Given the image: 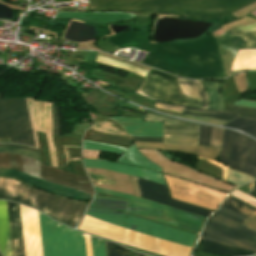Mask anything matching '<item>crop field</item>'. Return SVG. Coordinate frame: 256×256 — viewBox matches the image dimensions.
<instances>
[{
    "label": "crop field",
    "instance_id": "crop-field-1",
    "mask_svg": "<svg viewBox=\"0 0 256 256\" xmlns=\"http://www.w3.org/2000/svg\"><path fill=\"white\" fill-rule=\"evenodd\" d=\"M149 31L127 32L106 38L118 49L134 47L149 52L142 64L168 73L191 78H224V69L216 39L210 35L200 41L152 45L148 43Z\"/></svg>",
    "mask_w": 256,
    "mask_h": 256
},
{
    "label": "crop field",
    "instance_id": "crop-field-2",
    "mask_svg": "<svg viewBox=\"0 0 256 256\" xmlns=\"http://www.w3.org/2000/svg\"><path fill=\"white\" fill-rule=\"evenodd\" d=\"M256 0H90L89 10L122 9L157 14L217 19Z\"/></svg>",
    "mask_w": 256,
    "mask_h": 256
},
{
    "label": "crop field",
    "instance_id": "crop-field-3",
    "mask_svg": "<svg viewBox=\"0 0 256 256\" xmlns=\"http://www.w3.org/2000/svg\"><path fill=\"white\" fill-rule=\"evenodd\" d=\"M255 215L256 209L228 196L207 220L200 239L256 252V232L241 224Z\"/></svg>",
    "mask_w": 256,
    "mask_h": 256
},
{
    "label": "crop field",
    "instance_id": "crop-field-4",
    "mask_svg": "<svg viewBox=\"0 0 256 256\" xmlns=\"http://www.w3.org/2000/svg\"><path fill=\"white\" fill-rule=\"evenodd\" d=\"M95 191L129 199H110L94 197L90 207L110 210H119L133 215L141 216L151 220L159 221L176 228L187 230L193 233H199L205 217L171 208L165 205L153 203L140 199L135 196L95 187Z\"/></svg>",
    "mask_w": 256,
    "mask_h": 256
},
{
    "label": "crop field",
    "instance_id": "crop-field-5",
    "mask_svg": "<svg viewBox=\"0 0 256 256\" xmlns=\"http://www.w3.org/2000/svg\"><path fill=\"white\" fill-rule=\"evenodd\" d=\"M137 94H140L142 96H145L147 98H151L160 102L178 103V104H183V105L196 107V108H200V103H201V99L182 97L183 92L179 88L177 79L175 77L165 73L154 71V70L148 75V77L146 78L142 86L137 91ZM154 107L173 111V112H178V113H181L183 111H191V112L216 114V115H208V114L189 113V112L182 113L183 116L210 118V119H218V120H225V121H230L240 116L238 114L229 113V112L196 109V108L175 106V105L159 103V102H155ZM154 107H152V109L157 110L159 112L170 114V115L175 114L167 111L158 110Z\"/></svg>",
    "mask_w": 256,
    "mask_h": 256
},
{
    "label": "crop field",
    "instance_id": "crop-field-6",
    "mask_svg": "<svg viewBox=\"0 0 256 256\" xmlns=\"http://www.w3.org/2000/svg\"><path fill=\"white\" fill-rule=\"evenodd\" d=\"M0 198L12 199L17 202L40 209L50 217L76 226L87 206L76 201L50 195L17 180L0 177Z\"/></svg>",
    "mask_w": 256,
    "mask_h": 256
},
{
    "label": "crop field",
    "instance_id": "crop-field-7",
    "mask_svg": "<svg viewBox=\"0 0 256 256\" xmlns=\"http://www.w3.org/2000/svg\"><path fill=\"white\" fill-rule=\"evenodd\" d=\"M239 28L256 31V23ZM239 28L228 31L217 37L226 70V77L239 72L236 70L256 69V49H239V47L256 48V32H250ZM236 56L237 60L235 63ZM232 70L236 72H232Z\"/></svg>",
    "mask_w": 256,
    "mask_h": 256
},
{
    "label": "crop field",
    "instance_id": "crop-field-8",
    "mask_svg": "<svg viewBox=\"0 0 256 256\" xmlns=\"http://www.w3.org/2000/svg\"><path fill=\"white\" fill-rule=\"evenodd\" d=\"M43 256H85L83 233L38 212Z\"/></svg>",
    "mask_w": 256,
    "mask_h": 256
},
{
    "label": "crop field",
    "instance_id": "crop-field-9",
    "mask_svg": "<svg viewBox=\"0 0 256 256\" xmlns=\"http://www.w3.org/2000/svg\"><path fill=\"white\" fill-rule=\"evenodd\" d=\"M85 217H89L92 219L142 232L191 247L193 246L197 238L196 235L159 225L153 222H149L143 219H139L133 216H129L124 213L88 208Z\"/></svg>",
    "mask_w": 256,
    "mask_h": 256
},
{
    "label": "crop field",
    "instance_id": "crop-field-10",
    "mask_svg": "<svg viewBox=\"0 0 256 256\" xmlns=\"http://www.w3.org/2000/svg\"><path fill=\"white\" fill-rule=\"evenodd\" d=\"M0 138L36 147L25 98H9L1 102L0 93Z\"/></svg>",
    "mask_w": 256,
    "mask_h": 256
},
{
    "label": "crop field",
    "instance_id": "crop-field-11",
    "mask_svg": "<svg viewBox=\"0 0 256 256\" xmlns=\"http://www.w3.org/2000/svg\"><path fill=\"white\" fill-rule=\"evenodd\" d=\"M0 168L16 169L83 192L94 194L89 180L56 170L27 157L0 153Z\"/></svg>",
    "mask_w": 256,
    "mask_h": 256
},
{
    "label": "crop field",
    "instance_id": "crop-field-12",
    "mask_svg": "<svg viewBox=\"0 0 256 256\" xmlns=\"http://www.w3.org/2000/svg\"><path fill=\"white\" fill-rule=\"evenodd\" d=\"M199 125L163 126L164 144L136 142L137 148H155L177 151L216 160L220 149L198 146Z\"/></svg>",
    "mask_w": 256,
    "mask_h": 256
},
{
    "label": "crop field",
    "instance_id": "crop-field-13",
    "mask_svg": "<svg viewBox=\"0 0 256 256\" xmlns=\"http://www.w3.org/2000/svg\"><path fill=\"white\" fill-rule=\"evenodd\" d=\"M251 139L225 129L219 161L256 177V142Z\"/></svg>",
    "mask_w": 256,
    "mask_h": 256
},
{
    "label": "crop field",
    "instance_id": "crop-field-14",
    "mask_svg": "<svg viewBox=\"0 0 256 256\" xmlns=\"http://www.w3.org/2000/svg\"><path fill=\"white\" fill-rule=\"evenodd\" d=\"M164 176V175H163ZM173 199L215 210L227 195L180 179L164 176Z\"/></svg>",
    "mask_w": 256,
    "mask_h": 256
},
{
    "label": "crop field",
    "instance_id": "crop-field-15",
    "mask_svg": "<svg viewBox=\"0 0 256 256\" xmlns=\"http://www.w3.org/2000/svg\"><path fill=\"white\" fill-rule=\"evenodd\" d=\"M129 176V175H128ZM133 194L135 196L148 199L157 203L165 204L171 207H175L181 210H185L191 213H195L201 216L207 217L212 211H208L202 208L191 206L185 203H181L175 200H171L168 197L166 187L157 183L142 180L136 177L129 176Z\"/></svg>",
    "mask_w": 256,
    "mask_h": 256
},
{
    "label": "crop field",
    "instance_id": "crop-field-16",
    "mask_svg": "<svg viewBox=\"0 0 256 256\" xmlns=\"http://www.w3.org/2000/svg\"><path fill=\"white\" fill-rule=\"evenodd\" d=\"M0 174H8L15 177H18L29 184L44 189L46 191L59 194L62 196H66L73 199H79V200H88L92 198V195L86 194L80 191H76L70 188H66L33 176H30L28 174H25L21 171H15V170H8V169H0Z\"/></svg>",
    "mask_w": 256,
    "mask_h": 256
},
{
    "label": "crop field",
    "instance_id": "crop-field-17",
    "mask_svg": "<svg viewBox=\"0 0 256 256\" xmlns=\"http://www.w3.org/2000/svg\"><path fill=\"white\" fill-rule=\"evenodd\" d=\"M83 162L85 167L104 168L112 171L129 174L132 176H136V177L157 182L160 184H164L161 175L159 173H155L152 171L138 169V168H134L126 165H121V164L109 162L106 160L83 159Z\"/></svg>",
    "mask_w": 256,
    "mask_h": 256
},
{
    "label": "crop field",
    "instance_id": "crop-field-18",
    "mask_svg": "<svg viewBox=\"0 0 256 256\" xmlns=\"http://www.w3.org/2000/svg\"><path fill=\"white\" fill-rule=\"evenodd\" d=\"M118 122L128 135L162 137V123L142 122V118H111Z\"/></svg>",
    "mask_w": 256,
    "mask_h": 256
},
{
    "label": "crop field",
    "instance_id": "crop-field-19",
    "mask_svg": "<svg viewBox=\"0 0 256 256\" xmlns=\"http://www.w3.org/2000/svg\"><path fill=\"white\" fill-rule=\"evenodd\" d=\"M11 247L13 256H24L19 205L7 201Z\"/></svg>",
    "mask_w": 256,
    "mask_h": 256
},
{
    "label": "crop field",
    "instance_id": "crop-field-20",
    "mask_svg": "<svg viewBox=\"0 0 256 256\" xmlns=\"http://www.w3.org/2000/svg\"><path fill=\"white\" fill-rule=\"evenodd\" d=\"M135 15L120 13V12H110V13H72L57 11L56 18H76L90 22H96L100 24L111 23V22H121L128 20Z\"/></svg>",
    "mask_w": 256,
    "mask_h": 256
},
{
    "label": "crop field",
    "instance_id": "crop-field-21",
    "mask_svg": "<svg viewBox=\"0 0 256 256\" xmlns=\"http://www.w3.org/2000/svg\"><path fill=\"white\" fill-rule=\"evenodd\" d=\"M195 249L222 256H252L256 254L253 252L222 246L201 240L198 241V244Z\"/></svg>",
    "mask_w": 256,
    "mask_h": 256
},
{
    "label": "crop field",
    "instance_id": "crop-field-22",
    "mask_svg": "<svg viewBox=\"0 0 256 256\" xmlns=\"http://www.w3.org/2000/svg\"><path fill=\"white\" fill-rule=\"evenodd\" d=\"M178 83L184 96L202 98L201 108L208 109V95L201 81H188L178 78Z\"/></svg>",
    "mask_w": 256,
    "mask_h": 256
},
{
    "label": "crop field",
    "instance_id": "crop-field-23",
    "mask_svg": "<svg viewBox=\"0 0 256 256\" xmlns=\"http://www.w3.org/2000/svg\"><path fill=\"white\" fill-rule=\"evenodd\" d=\"M120 163H126L131 164L155 171L161 172V169L147 161L135 148V145L133 144L118 160Z\"/></svg>",
    "mask_w": 256,
    "mask_h": 256
},
{
    "label": "crop field",
    "instance_id": "crop-field-24",
    "mask_svg": "<svg viewBox=\"0 0 256 256\" xmlns=\"http://www.w3.org/2000/svg\"><path fill=\"white\" fill-rule=\"evenodd\" d=\"M83 139L109 143V144L124 146V147L130 146L132 143V140H130L129 138H123V137H118L114 135L104 134V133L96 132L90 129L85 133Z\"/></svg>",
    "mask_w": 256,
    "mask_h": 256
},
{
    "label": "crop field",
    "instance_id": "crop-field-25",
    "mask_svg": "<svg viewBox=\"0 0 256 256\" xmlns=\"http://www.w3.org/2000/svg\"><path fill=\"white\" fill-rule=\"evenodd\" d=\"M210 98L209 109L224 110L223 99L221 94H218L217 90L220 89L217 82H203Z\"/></svg>",
    "mask_w": 256,
    "mask_h": 256
},
{
    "label": "crop field",
    "instance_id": "crop-field-26",
    "mask_svg": "<svg viewBox=\"0 0 256 256\" xmlns=\"http://www.w3.org/2000/svg\"><path fill=\"white\" fill-rule=\"evenodd\" d=\"M96 61L104 63V64H108V65H111V66H114V67L122 68V69H125V70H128V71H131L133 73L142 75L144 77L148 74V71H146V70H143L141 68H138V67H135L133 65L127 64L125 62L114 60V59L107 58V57H103V56L98 55Z\"/></svg>",
    "mask_w": 256,
    "mask_h": 256
},
{
    "label": "crop field",
    "instance_id": "crop-field-27",
    "mask_svg": "<svg viewBox=\"0 0 256 256\" xmlns=\"http://www.w3.org/2000/svg\"><path fill=\"white\" fill-rule=\"evenodd\" d=\"M223 126L244 130L256 138V120H251L246 118H237Z\"/></svg>",
    "mask_w": 256,
    "mask_h": 256
},
{
    "label": "crop field",
    "instance_id": "crop-field-28",
    "mask_svg": "<svg viewBox=\"0 0 256 256\" xmlns=\"http://www.w3.org/2000/svg\"><path fill=\"white\" fill-rule=\"evenodd\" d=\"M83 149L95 151H108L112 153H122L126 149L121 147L109 146L91 141H83Z\"/></svg>",
    "mask_w": 256,
    "mask_h": 256
},
{
    "label": "crop field",
    "instance_id": "crop-field-29",
    "mask_svg": "<svg viewBox=\"0 0 256 256\" xmlns=\"http://www.w3.org/2000/svg\"><path fill=\"white\" fill-rule=\"evenodd\" d=\"M144 121H163L166 125L194 124V123H189V122H185V121H180V120L160 116V115L150 113V112L145 117Z\"/></svg>",
    "mask_w": 256,
    "mask_h": 256
},
{
    "label": "crop field",
    "instance_id": "crop-field-30",
    "mask_svg": "<svg viewBox=\"0 0 256 256\" xmlns=\"http://www.w3.org/2000/svg\"><path fill=\"white\" fill-rule=\"evenodd\" d=\"M0 152L20 154V155L31 157L40 162V155L35 152H31L23 149H17V148H10V147H0Z\"/></svg>",
    "mask_w": 256,
    "mask_h": 256
},
{
    "label": "crop field",
    "instance_id": "crop-field-31",
    "mask_svg": "<svg viewBox=\"0 0 256 256\" xmlns=\"http://www.w3.org/2000/svg\"><path fill=\"white\" fill-rule=\"evenodd\" d=\"M212 127L200 125L199 145L209 146Z\"/></svg>",
    "mask_w": 256,
    "mask_h": 256
},
{
    "label": "crop field",
    "instance_id": "crop-field-32",
    "mask_svg": "<svg viewBox=\"0 0 256 256\" xmlns=\"http://www.w3.org/2000/svg\"><path fill=\"white\" fill-rule=\"evenodd\" d=\"M226 111L235 112V113H239L241 115L247 116V117L256 118V109L228 105Z\"/></svg>",
    "mask_w": 256,
    "mask_h": 256
},
{
    "label": "crop field",
    "instance_id": "crop-field-33",
    "mask_svg": "<svg viewBox=\"0 0 256 256\" xmlns=\"http://www.w3.org/2000/svg\"><path fill=\"white\" fill-rule=\"evenodd\" d=\"M93 256H105L103 240L91 236Z\"/></svg>",
    "mask_w": 256,
    "mask_h": 256
},
{
    "label": "crop field",
    "instance_id": "crop-field-34",
    "mask_svg": "<svg viewBox=\"0 0 256 256\" xmlns=\"http://www.w3.org/2000/svg\"><path fill=\"white\" fill-rule=\"evenodd\" d=\"M223 131H224L223 128H218V127L214 128L213 127L210 146L220 148Z\"/></svg>",
    "mask_w": 256,
    "mask_h": 256
},
{
    "label": "crop field",
    "instance_id": "crop-field-35",
    "mask_svg": "<svg viewBox=\"0 0 256 256\" xmlns=\"http://www.w3.org/2000/svg\"><path fill=\"white\" fill-rule=\"evenodd\" d=\"M106 244H107V247H109L111 245L117 246L116 244L107 242V241H106ZM107 251H118L119 253H127V249L123 248L121 246L109 247V248H107ZM107 256H128V254H118L117 252H107Z\"/></svg>",
    "mask_w": 256,
    "mask_h": 256
},
{
    "label": "crop field",
    "instance_id": "crop-field-36",
    "mask_svg": "<svg viewBox=\"0 0 256 256\" xmlns=\"http://www.w3.org/2000/svg\"><path fill=\"white\" fill-rule=\"evenodd\" d=\"M57 106L58 105L52 103V119H53L52 135H57L58 136Z\"/></svg>",
    "mask_w": 256,
    "mask_h": 256
},
{
    "label": "crop field",
    "instance_id": "crop-field-37",
    "mask_svg": "<svg viewBox=\"0 0 256 256\" xmlns=\"http://www.w3.org/2000/svg\"><path fill=\"white\" fill-rule=\"evenodd\" d=\"M135 141H146V142H162L161 138H144V137H130Z\"/></svg>",
    "mask_w": 256,
    "mask_h": 256
},
{
    "label": "crop field",
    "instance_id": "crop-field-38",
    "mask_svg": "<svg viewBox=\"0 0 256 256\" xmlns=\"http://www.w3.org/2000/svg\"><path fill=\"white\" fill-rule=\"evenodd\" d=\"M0 146L18 147V148H23V149H27V150H31V151L38 152V150H36V149L28 148V147H24V146H18V145L0 144ZM38 153H39V152H38Z\"/></svg>",
    "mask_w": 256,
    "mask_h": 256
},
{
    "label": "crop field",
    "instance_id": "crop-field-39",
    "mask_svg": "<svg viewBox=\"0 0 256 256\" xmlns=\"http://www.w3.org/2000/svg\"><path fill=\"white\" fill-rule=\"evenodd\" d=\"M254 182L256 183V181H254ZM253 188H254V189H253L248 195H250V196L256 198V184H255V186H254Z\"/></svg>",
    "mask_w": 256,
    "mask_h": 256
},
{
    "label": "crop field",
    "instance_id": "crop-field-40",
    "mask_svg": "<svg viewBox=\"0 0 256 256\" xmlns=\"http://www.w3.org/2000/svg\"><path fill=\"white\" fill-rule=\"evenodd\" d=\"M128 251H129V256H136V252H133V251H131L129 249H128Z\"/></svg>",
    "mask_w": 256,
    "mask_h": 256
},
{
    "label": "crop field",
    "instance_id": "crop-field-41",
    "mask_svg": "<svg viewBox=\"0 0 256 256\" xmlns=\"http://www.w3.org/2000/svg\"><path fill=\"white\" fill-rule=\"evenodd\" d=\"M137 256H146V255L137 252Z\"/></svg>",
    "mask_w": 256,
    "mask_h": 256
},
{
    "label": "crop field",
    "instance_id": "crop-field-42",
    "mask_svg": "<svg viewBox=\"0 0 256 256\" xmlns=\"http://www.w3.org/2000/svg\"><path fill=\"white\" fill-rule=\"evenodd\" d=\"M250 14H252V15L256 16V10H255V11H253L252 13H250Z\"/></svg>",
    "mask_w": 256,
    "mask_h": 256
},
{
    "label": "crop field",
    "instance_id": "crop-field-43",
    "mask_svg": "<svg viewBox=\"0 0 256 256\" xmlns=\"http://www.w3.org/2000/svg\"><path fill=\"white\" fill-rule=\"evenodd\" d=\"M77 159H81V158H72V160H77Z\"/></svg>",
    "mask_w": 256,
    "mask_h": 256
},
{
    "label": "crop field",
    "instance_id": "crop-field-44",
    "mask_svg": "<svg viewBox=\"0 0 256 256\" xmlns=\"http://www.w3.org/2000/svg\"><path fill=\"white\" fill-rule=\"evenodd\" d=\"M148 256V255H147Z\"/></svg>",
    "mask_w": 256,
    "mask_h": 256
}]
</instances>
